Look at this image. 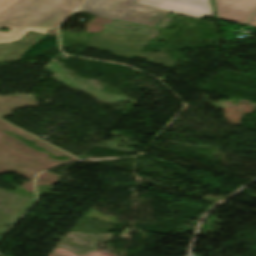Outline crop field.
I'll return each mask as SVG.
<instances>
[{
	"mask_svg": "<svg viewBox=\"0 0 256 256\" xmlns=\"http://www.w3.org/2000/svg\"><path fill=\"white\" fill-rule=\"evenodd\" d=\"M83 0H18L0 16V44L19 40L29 30L46 34ZM82 3V2H81Z\"/></svg>",
	"mask_w": 256,
	"mask_h": 256,
	"instance_id": "obj_1",
	"label": "crop field"
},
{
	"mask_svg": "<svg viewBox=\"0 0 256 256\" xmlns=\"http://www.w3.org/2000/svg\"><path fill=\"white\" fill-rule=\"evenodd\" d=\"M88 1V0H87ZM135 0H89L76 11L153 26L168 12L135 4ZM165 17V16H164Z\"/></svg>",
	"mask_w": 256,
	"mask_h": 256,
	"instance_id": "obj_2",
	"label": "crop field"
},
{
	"mask_svg": "<svg viewBox=\"0 0 256 256\" xmlns=\"http://www.w3.org/2000/svg\"><path fill=\"white\" fill-rule=\"evenodd\" d=\"M136 3L201 19L212 16L210 0H136Z\"/></svg>",
	"mask_w": 256,
	"mask_h": 256,
	"instance_id": "obj_3",
	"label": "crop field"
},
{
	"mask_svg": "<svg viewBox=\"0 0 256 256\" xmlns=\"http://www.w3.org/2000/svg\"><path fill=\"white\" fill-rule=\"evenodd\" d=\"M218 18L245 24L256 9V0H215Z\"/></svg>",
	"mask_w": 256,
	"mask_h": 256,
	"instance_id": "obj_4",
	"label": "crop field"
},
{
	"mask_svg": "<svg viewBox=\"0 0 256 256\" xmlns=\"http://www.w3.org/2000/svg\"><path fill=\"white\" fill-rule=\"evenodd\" d=\"M17 0H0V15L4 13Z\"/></svg>",
	"mask_w": 256,
	"mask_h": 256,
	"instance_id": "obj_5",
	"label": "crop field"
},
{
	"mask_svg": "<svg viewBox=\"0 0 256 256\" xmlns=\"http://www.w3.org/2000/svg\"><path fill=\"white\" fill-rule=\"evenodd\" d=\"M249 24H252V27H256V14H255V16L252 18V20L250 21Z\"/></svg>",
	"mask_w": 256,
	"mask_h": 256,
	"instance_id": "obj_6",
	"label": "crop field"
}]
</instances>
